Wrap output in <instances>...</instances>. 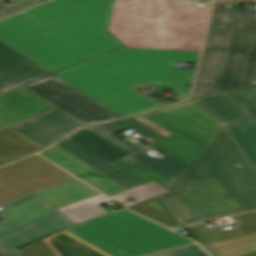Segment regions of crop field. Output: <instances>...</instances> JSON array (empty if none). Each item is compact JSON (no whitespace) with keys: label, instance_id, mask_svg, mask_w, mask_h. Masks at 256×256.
Instances as JSON below:
<instances>
[{"label":"crop field","instance_id":"8a807250","mask_svg":"<svg viewBox=\"0 0 256 256\" xmlns=\"http://www.w3.org/2000/svg\"><path fill=\"white\" fill-rule=\"evenodd\" d=\"M143 117L173 134L152 143L170 155L156 160L138 143L128 146L112 137L117 132L106 125L87 129L130 156L109 164L69 138L57 146L128 189L153 180L169 190L223 127L188 102Z\"/></svg>","mask_w":256,"mask_h":256},{"label":"crop field","instance_id":"ac0d7876","mask_svg":"<svg viewBox=\"0 0 256 256\" xmlns=\"http://www.w3.org/2000/svg\"><path fill=\"white\" fill-rule=\"evenodd\" d=\"M159 197L181 226L256 209V171L224 128Z\"/></svg>","mask_w":256,"mask_h":256},{"label":"crop field","instance_id":"34b2d1b8","mask_svg":"<svg viewBox=\"0 0 256 256\" xmlns=\"http://www.w3.org/2000/svg\"><path fill=\"white\" fill-rule=\"evenodd\" d=\"M23 13L48 22L53 35L18 13L0 21V41L51 73L121 45L69 0H51Z\"/></svg>","mask_w":256,"mask_h":256},{"label":"crop field","instance_id":"412701ff","mask_svg":"<svg viewBox=\"0 0 256 256\" xmlns=\"http://www.w3.org/2000/svg\"><path fill=\"white\" fill-rule=\"evenodd\" d=\"M114 0L107 31L126 47L199 51L211 2Z\"/></svg>","mask_w":256,"mask_h":256},{"label":"crop field","instance_id":"f4fd0767","mask_svg":"<svg viewBox=\"0 0 256 256\" xmlns=\"http://www.w3.org/2000/svg\"><path fill=\"white\" fill-rule=\"evenodd\" d=\"M215 2L192 98L256 84V16Z\"/></svg>","mask_w":256,"mask_h":256},{"label":"crop field","instance_id":"dd49c442","mask_svg":"<svg viewBox=\"0 0 256 256\" xmlns=\"http://www.w3.org/2000/svg\"><path fill=\"white\" fill-rule=\"evenodd\" d=\"M54 75L123 117L154 109L125 87L148 78L165 82L125 47L91 58Z\"/></svg>","mask_w":256,"mask_h":256},{"label":"crop field","instance_id":"e52e79f7","mask_svg":"<svg viewBox=\"0 0 256 256\" xmlns=\"http://www.w3.org/2000/svg\"><path fill=\"white\" fill-rule=\"evenodd\" d=\"M60 233L102 256H141L194 243L125 209L107 213Z\"/></svg>","mask_w":256,"mask_h":256},{"label":"crop field","instance_id":"d8731c3e","mask_svg":"<svg viewBox=\"0 0 256 256\" xmlns=\"http://www.w3.org/2000/svg\"><path fill=\"white\" fill-rule=\"evenodd\" d=\"M0 219L3 253L73 225L35 193L4 206Z\"/></svg>","mask_w":256,"mask_h":256},{"label":"crop field","instance_id":"5a996713","mask_svg":"<svg viewBox=\"0 0 256 256\" xmlns=\"http://www.w3.org/2000/svg\"><path fill=\"white\" fill-rule=\"evenodd\" d=\"M23 88L84 126L121 118V116L54 75Z\"/></svg>","mask_w":256,"mask_h":256},{"label":"crop field","instance_id":"3316defc","mask_svg":"<svg viewBox=\"0 0 256 256\" xmlns=\"http://www.w3.org/2000/svg\"><path fill=\"white\" fill-rule=\"evenodd\" d=\"M40 156L0 169V205L32 191L71 179Z\"/></svg>","mask_w":256,"mask_h":256},{"label":"crop field","instance_id":"28ad6ade","mask_svg":"<svg viewBox=\"0 0 256 256\" xmlns=\"http://www.w3.org/2000/svg\"><path fill=\"white\" fill-rule=\"evenodd\" d=\"M171 85L192 82L194 70L173 69V61L196 63L199 52L127 48Z\"/></svg>","mask_w":256,"mask_h":256},{"label":"crop field","instance_id":"d1516ede","mask_svg":"<svg viewBox=\"0 0 256 256\" xmlns=\"http://www.w3.org/2000/svg\"><path fill=\"white\" fill-rule=\"evenodd\" d=\"M11 127L45 148L83 126L55 109Z\"/></svg>","mask_w":256,"mask_h":256},{"label":"crop field","instance_id":"22f410ed","mask_svg":"<svg viewBox=\"0 0 256 256\" xmlns=\"http://www.w3.org/2000/svg\"><path fill=\"white\" fill-rule=\"evenodd\" d=\"M47 70L0 42V91L50 75Z\"/></svg>","mask_w":256,"mask_h":256},{"label":"crop field","instance_id":"cbeb9de0","mask_svg":"<svg viewBox=\"0 0 256 256\" xmlns=\"http://www.w3.org/2000/svg\"><path fill=\"white\" fill-rule=\"evenodd\" d=\"M53 109L32 94L18 88L0 95V129Z\"/></svg>","mask_w":256,"mask_h":256},{"label":"crop field","instance_id":"5142ce71","mask_svg":"<svg viewBox=\"0 0 256 256\" xmlns=\"http://www.w3.org/2000/svg\"><path fill=\"white\" fill-rule=\"evenodd\" d=\"M40 154L49 159L50 161L54 162L55 164H58L55 161L61 158H68L72 160L71 166L67 168L61 165L59 166L74 174L78 178L82 179L86 183L90 184L108 197L127 190L123 186L114 182L110 178L96 171L92 167L88 166L81 160L70 155L69 153L65 152L57 146Z\"/></svg>","mask_w":256,"mask_h":256},{"label":"crop field","instance_id":"d9b57169","mask_svg":"<svg viewBox=\"0 0 256 256\" xmlns=\"http://www.w3.org/2000/svg\"><path fill=\"white\" fill-rule=\"evenodd\" d=\"M225 92L196 98L189 102L224 126L251 114Z\"/></svg>","mask_w":256,"mask_h":256},{"label":"crop field","instance_id":"733c2abd","mask_svg":"<svg viewBox=\"0 0 256 256\" xmlns=\"http://www.w3.org/2000/svg\"><path fill=\"white\" fill-rule=\"evenodd\" d=\"M229 222H236L238 226L224 231L221 226L210 228L205 223L186 226L201 244L226 239L234 236L256 232V213L254 211L224 218Z\"/></svg>","mask_w":256,"mask_h":256},{"label":"crop field","instance_id":"4a817a6b","mask_svg":"<svg viewBox=\"0 0 256 256\" xmlns=\"http://www.w3.org/2000/svg\"><path fill=\"white\" fill-rule=\"evenodd\" d=\"M54 208L99 194L77 179L36 192Z\"/></svg>","mask_w":256,"mask_h":256},{"label":"crop field","instance_id":"bc2a9ffb","mask_svg":"<svg viewBox=\"0 0 256 256\" xmlns=\"http://www.w3.org/2000/svg\"><path fill=\"white\" fill-rule=\"evenodd\" d=\"M38 150L41 148L12 130L0 131V164L11 163Z\"/></svg>","mask_w":256,"mask_h":256},{"label":"crop field","instance_id":"214f88e0","mask_svg":"<svg viewBox=\"0 0 256 256\" xmlns=\"http://www.w3.org/2000/svg\"><path fill=\"white\" fill-rule=\"evenodd\" d=\"M108 202L112 201L106 196L99 194L78 202L56 208V210L64 215L72 223L77 224L107 213L98 205Z\"/></svg>","mask_w":256,"mask_h":256},{"label":"crop field","instance_id":"92a150f3","mask_svg":"<svg viewBox=\"0 0 256 256\" xmlns=\"http://www.w3.org/2000/svg\"><path fill=\"white\" fill-rule=\"evenodd\" d=\"M226 129L256 170V117L252 115Z\"/></svg>","mask_w":256,"mask_h":256},{"label":"crop field","instance_id":"dafd665d","mask_svg":"<svg viewBox=\"0 0 256 256\" xmlns=\"http://www.w3.org/2000/svg\"><path fill=\"white\" fill-rule=\"evenodd\" d=\"M203 246L213 256H242L256 251V233L212 242Z\"/></svg>","mask_w":256,"mask_h":256},{"label":"crop field","instance_id":"00972430","mask_svg":"<svg viewBox=\"0 0 256 256\" xmlns=\"http://www.w3.org/2000/svg\"><path fill=\"white\" fill-rule=\"evenodd\" d=\"M127 208L166 226L178 223L158 196Z\"/></svg>","mask_w":256,"mask_h":256},{"label":"crop field","instance_id":"a9b5d70f","mask_svg":"<svg viewBox=\"0 0 256 256\" xmlns=\"http://www.w3.org/2000/svg\"><path fill=\"white\" fill-rule=\"evenodd\" d=\"M96 23L107 28L113 0H70Z\"/></svg>","mask_w":256,"mask_h":256},{"label":"crop field","instance_id":"4177f3b9","mask_svg":"<svg viewBox=\"0 0 256 256\" xmlns=\"http://www.w3.org/2000/svg\"><path fill=\"white\" fill-rule=\"evenodd\" d=\"M166 191H168V190L164 189L160 185L151 181L145 185L127 190L125 192H122V193L112 196L110 198L117 202L122 201L127 198H130V197H132L133 199L136 200V201H133V202L123 205L124 207H127L129 205L135 204L137 202L143 201V200L151 198L153 196L160 195Z\"/></svg>","mask_w":256,"mask_h":256},{"label":"crop field","instance_id":"730fd06b","mask_svg":"<svg viewBox=\"0 0 256 256\" xmlns=\"http://www.w3.org/2000/svg\"><path fill=\"white\" fill-rule=\"evenodd\" d=\"M229 92L256 114V86L230 90Z\"/></svg>","mask_w":256,"mask_h":256},{"label":"crop field","instance_id":"eef30255","mask_svg":"<svg viewBox=\"0 0 256 256\" xmlns=\"http://www.w3.org/2000/svg\"><path fill=\"white\" fill-rule=\"evenodd\" d=\"M44 0H18L11 5L4 4L3 0H0V18L11 14L13 12L19 11L36 3Z\"/></svg>","mask_w":256,"mask_h":256},{"label":"crop field","instance_id":"ae1a2a85","mask_svg":"<svg viewBox=\"0 0 256 256\" xmlns=\"http://www.w3.org/2000/svg\"><path fill=\"white\" fill-rule=\"evenodd\" d=\"M25 256H54L42 240L20 248Z\"/></svg>","mask_w":256,"mask_h":256},{"label":"crop field","instance_id":"d3111659","mask_svg":"<svg viewBox=\"0 0 256 256\" xmlns=\"http://www.w3.org/2000/svg\"><path fill=\"white\" fill-rule=\"evenodd\" d=\"M163 256H208L198 245L170 250L161 253ZM150 256H158L156 254Z\"/></svg>","mask_w":256,"mask_h":256},{"label":"crop field","instance_id":"750c4746","mask_svg":"<svg viewBox=\"0 0 256 256\" xmlns=\"http://www.w3.org/2000/svg\"><path fill=\"white\" fill-rule=\"evenodd\" d=\"M143 82H150V83H153V84H156V85H167V86H170L168 84H164V83H161V82H158V81H154V80H151V79H148L146 81H143ZM134 85L130 86V87H127L129 90H131L130 88H132ZM132 91V90H131ZM133 92V91H132ZM135 93V92H133ZM136 94V93H135ZM137 95V94H136ZM139 96V95H138ZM141 97L143 100H145L146 102H148L149 104H151L153 107L157 108L159 107V104L158 102L150 99V98H147V97H144V96H139ZM184 97V96H183Z\"/></svg>","mask_w":256,"mask_h":256},{"label":"crop field","instance_id":"bd1437ed","mask_svg":"<svg viewBox=\"0 0 256 256\" xmlns=\"http://www.w3.org/2000/svg\"><path fill=\"white\" fill-rule=\"evenodd\" d=\"M0 256H22L21 253L19 252L18 248L6 253V254H3L0 252Z\"/></svg>","mask_w":256,"mask_h":256},{"label":"crop field","instance_id":"1d83c4d3","mask_svg":"<svg viewBox=\"0 0 256 256\" xmlns=\"http://www.w3.org/2000/svg\"><path fill=\"white\" fill-rule=\"evenodd\" d=\"M176 90H178L182 95H184L185 97H188L189 95V90L187 89H183V88H179V87H175L173 86Z\"/></svg>","mask_w":256,"mask_h":256},{"label":"crop field","instance_id":"120bbe31","mask_svg":"<svg viewBox=\"0 0 256 256\" xmlns=\"http://www.w3.org/2000/svg\"><path fill=\"white\" fill-rule=\"evenodd\" d=\"M57 162H59L61 165H63V166H69L70 164H71V161L70 160H68V159H62V160H59V161H57ZM59 165V164H58Z\"/></svg>","mask_w":256,"mask_h":256},{"label":"crop field","instance_id":"d32e631a","mask_svg":"<svg viewBox=\"0 0 256 256\" xmlns=\"http://www.w3.org/2000/svg\"><path fill=\"white\" fill-rule=\"evenodd\" d=\"M39 29L43 30L40 26L38 27ZM47 35H51V33L46 32L45 30H43Z\"/></svg>","mask_w":256,"mask_h":256},{"label":"crop field","instance_id":"5866460e","mask_svg":"<svg viewBox=\"0 0 256 256\" xmlns=\"http://www.w3.org/2000/svg\"><path fill=\"white\" fill-rule=\"evenodd\" d=\"M236 1H256V0H236Z\"/></svg>","mask_w":256,"mask_h":256},{"label":"crop field","instance_id":"028f5c9d","mask_svg":"<svg viewBox=\"0 0 256 256\" xmlns=\"http://www.w3.org/2000/svg\"><path fill=\"white\" fill-rule=\"evenodd\" d=\"M47 25H48L47 23H45V24H42V26H43V27H45V28H46V26H47Z\"/></svg>","mask_w":256,"mask_h":256},{"label":"crop field","instance_id":"e1f06a70","mask_svg":"<svg viewBox=\"0 0 256 256\" xmlns=\"http://www.w3.org/2000/svg\"><path fill=\"white\" fill-rule=\"evenodd\" d=\"M248 256H256V253H254V254H251V255H248Z\"/></svg>","mask_w":256,"mask_h":256}]
</instances>
